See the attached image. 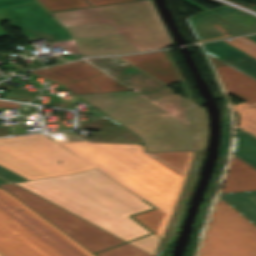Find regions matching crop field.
<instances>
[{
	"instance_id": "8a807250",
	"label": "crop field",
	"mask_w": 256,
	"mask_h": 256,
	"mask_svg": "<svg viewBox=\"0 0 256 256\" xmlns=\"http://www.w3.org/2000/svg\"><path fill=\"white\" fill-rule=\"evenodd\" d=\"M100 149L77 155L156 207L132 215L162 238L186 177L192 151L144 153L143 145L92 143Z\"/></svg>"
},
{
	"instance_id": "ac0d7876",
	"label": "crop field",
	"mask_w": 256,
	"mask_h": 256,
	"mask_svg": "<svg viewBox=\"0 0 256 256\" xmlns=\"http://www.w3.org/2000/svg\"><path fill=\"white\" fill-rule=\"evenodd\" d=\"M51 14L76 37L82 56L173 46L151 0Z\"/></svg>"
},
{
	"instance_id": "34b2d1b8",
	"label": "crop field",
	"mask_w": 256,
	"mask_h": 256,
	"mask_svg": "<svg viewBox=\"0 0 256 256\" xmlns=\"http://www.w3.org/2000/svg\"><path fill=\"white\" fill-rule=\"evenodd\" d=\"M0 254L96 256L2 188H0Z\"/></svg>"
},
{
	"instance_id": "412701ff",
	"label": "crop field",
	"mask_w": 256,
	"mask_h": 256,
	"mask_svg": "<svg viewBox=\"0 0 256 256\" xmlns=\"http://www.w3.org/2000/svg\"><path fill=\"white\" fill-rule=\"evenodd\" d=\"M77 96L139 136L145 152L188 148V126L132 91Z\"/></svg>"
},
{
	"instance_id": "f4fd0767",
	"label": "crop field",
	"mask_w": 256,
	"mask_h": 256,
	"mask_svg": "<svg viewBox=\"0 0 256 256\" xmlns=\"http://www.w3.org/2000/svg\"><path fill=\"white\" fill-rule=\"evenodd\" d=\"M0 187L17 196L93 253L125 242L14 184ZM96 255L152 256L128 243Z\"/></svg>"
},
{
	"instance_id": "dd49c442",
	"label": "crop field",
	"mask_w": 256,
	"mask_h": 256,
	"mask_svg": "<svg viewBox=\"0 0 256 256\" xmlns=\"http://www.w3.org/2000/svg\"><path fill=\"white\" fill-rule=\"evenodd\" d=\"M198 256H256V226L219 198Z\"/></svg>"
},
{
	"instance_id": "e52e79f7",
	"label": "crop field",
	"mask_w": 256,
	"mask_h": 256,
	"mask_svg": "<svg viewBox=\"0 0 256 256\" xmlns=\"http://www.w3.org/2000/svg\"><path fill=\"white\" fill-rule=\"evenodd\" d=\"M14 184L80 218L112 205L73 175Z\"/></svg>"
},
{
	"instance_id": "d8731c3e",
	"label": "crop field",
	"mask_w": 256,
	"mask_h": 256,
	"mask_svg": "<svg viewBox=\"0 0 256 256\" xmlns=\"http://www.w3.org/2000/svg\"><path fill=\"white\" fill-rule=\"evenodd\" d=\"M83 60L186 124L183 107L174 90L126 64L116 56Z\"/></svg>"
},
{
	"instance_id": "5a996713",
	"label": "crop field",
	"mask_w": 256,
	"mask_h": 256,
	"mask_svg": "<svg viewBox=\"0 0 256 256\" xmlns=\"http://www.w3.org/2000/svg\"><path fill=\"white\" fill-rule=\"evenodd\" d=\"M185 1L205 11L188 17L200 42L256 32V17L252 15L226 5L210 10L193 0Z\"/></svg>"
},
{
	"instance_id": "3316defc",
	"label": "crop field",
	"mask_w": 256,
	"mask_h": 256,
	"mask_svg": "<svg viewBox=\"0 0 256 256\" xmlns=\"http://www.w3.org/2000/svg\"><path fill=\"white\" fill-rule=\"evenodd\" d=\"M32 73L62 84L76 94L129 90L83 61L57 65Z\"/></svg>"
},
{
	"instance_id": "28ad6ade",
	"label": "crop field",
	"mask_w": 256,
	"mask_h": 256,
	"mask_svg": "<svg viewBox=\"0 0 256 256\" xmlns=\"http://www.w3.org/2000/svg\"><path fill=\"white\" fill-rule=\"evenodd\" d=\"M4 10L13 20L9 24L30 40L46 38L51 41L72 37L37 2Z\"/></svg>"
},
{
	"instance_id": "d1516ede",
	"label": "crop field",
	"mask_w": 256,
	"mask_h": 256,
	"mask_svg": "<svg viewBox=\"0 0 256 256\" xmlns=\"http://www.w3.org/2000/svg\"><path fill=\"white\" fill-rule=\"evenodd\" d=\"M74 175L128 215L153 208L96 169Z\"/></svg>"
},
{
	"instance_id": "22f410ed",
	"label": "crop field",
	"mask_w": 256,
	"mask_h": 256,
	"mask_svg": "<svg viewBox=\"0 0 256 256\" xmlns=\"http://www.w3.org/2000/svg\"><path fill=\"white\" fill-rule=\"evenodd\" d=\"M0 164L29 180L69 174L2 140Z\"/></svg>"
},
{
	"instance_id": "cbeb9de0",
	"label": "crop field",
	"mask_w": 256,
	"mask_h": 256,
	"mask_svg": "<svg viewBox=\"0 0 256 256\" xmlns=\"http://www.w3.org/2000/svg\"><path fill=\"white\" fill-rule=\"evenodd\" d=\"M82 219L125 241L150 233V231L114 205Z\"/></svg>"
},
{
	"instance_id": "5142ce71",
	"label": "crop field",
	"mask_w": 256,
	"mask_h": 256,
	"mask_svg": "<svg viewBox=\"0 0 256 256\" xmlns=\"http://www.w3.org/2000/svg\"><path fill=\"white\" fill-rule=\"evenodd\" d=\"M16 147L72 174L93 169L73 153L56 144L54 141L17 145Z\"/></svg>"
},
{
	"instance_id": "d9b57169",
	"label": "crop field",
	"mask_w": 256,
	"mask_h": 256,
	"mask_svg": "<svg viewBox=\"0 0 256 256\" xmlns=\"http://www.w3.org/2000/svg\"><path fill=\"white\" fill-rule=\"evenodd\" d=\"M209 58L227 92L251 105L256 103V80L211 56Z\"/></svg>"
},
{
	"instance_id": "733c2abd",
	"label": "crop field",
	"mask_w": 256,
	"mask_h": 256,
	"mask_svg": "<svg viewBox=\"0 0 256 256\" xmlns=\"http://www.w3.org/2000/svg\"><path fill=\"white\" fill-rule=\"evenodd\" d=\"M120 57L168 85L178 81L170 62L162 51Z\"/></svg>"
},
{
	"instance_id": "4a817a6b",
	"label": "crop field",
	"mask_w": 256,
	"mask_h": 256,
	"mask_svg": "<svg viewBox=\"0 0 256 256\" xmlns=\"http://www.w3.org/2000/svg\"><path fill=\"white\" fill-rule=\"evenodd\" d=\"M206 51L256 78V59L222 40L203 44ZM256 108V104L252 105Z\"/></svg>"
},
{
	"instance_id": "bc2a9ffb",
	"label": "crop field",
	"mask_w": 256,
	"mask_h": 256,
	"mask_svg": "<svg viewBox=\"0 0 256 256\" xmlns=\"http://www.w3.org/2000/svg\"><path fill=\"white\" fill-rule=\"evenodd\" d=\"M221 193L256 189V170L232 156Z\"/></svg>"
},
{
	"instance_id": "214f88e0",
	"label": "crop field",
	"mask_w": 256,
	"mask_h": 256,
	"mask_svg": "<svg viewBox=\"0 0 256 256\" xmlns=\"http://www.w3.org/2000/svg\"><path fill=\"white\" fill-rule=\"evenodd\" d=\"M219 196L245 218L256 225V190L225 193L219 194Z\"/></svg>"
},
{
	"instance_id": "92a150f3",
	"label": "crop field",
	"mask_w": 256,
	"mask_h": 256,
	"mask_svg": "<svg viewBox=\"0 0 256 256\" xmlns=\"http://www.w3.org/2000/svg\"><path fill=\"white\" fill-rule=\"evenodd\" d=\"M234 155L256 169V137L237 128Z\"/></svg>"
},
{
	"instance_id": "dafd665d",
	"label": "crop field",
	"mask_w": 256,
	"mask_h": 256,
	"mask_svg": "<svg viewBox=\"0 0 256 256\" xmlns=\"http://www.w3.org/2000/svg\"><path fill=\"white\" fill-rule=\"evenodd\" d=\"M77 129L132 133L110 118L97 116L93 121H78Z\"/></svg>"
},
{
	"instance_id": "00972430",
	"label": "crop field",
	"mask_w": 256,
	"mask_h": 256,
	"mask_svg": "<svg viewBox=\"0 0 256 256\" xmlns=\"http://www.w3.org/2000/svg\"><path fill=\"white\" fill-rule=\"evenodd\" d=\"M204 152L202 151H199L198 154H197V162H196V165H195V168H194V171L190 177V180H189V183L187 185V188H186V191H185V194L183 196V199H182V202H181V205H180V208H179V211L177 213V216H176V219H175V222H174V225L172 227V230L169 234V237L166 241V243L170 246H172V243L174 241V238H175V235H176V232H177V228H178V225H179V221L183 215V212L185 210V207L187 205V202H188V199L190 197V194H191V191H192V188L194 186V183L196 181V177H197V173H198V169H199V165H200V161H201V158L203 156Z\"/></svg>"
},
{
	"instance_id": "a9b5d70f",
	"label": "crop field",
	"mask_w": 256,
	"mask_h": 256,
	"mask_svg": "<svg viewBox=\"0 0 256 256\" xmlns=\"http://www.w3.org/2000/svg\"><path fill=\"white\" fill-rule=\"evenodd\" d=\"M240 115L239 127H242L256 136V109L243 102L233 106Z\"/></svg>"
},
{
	"instance_id": "4177f3b9",
	"label": "crop field",
	"mask_w": 256,
	"mask_h": 256,
	"mask_svg": "<svg viewBox=\"0 0 256 256\" xmlns=\"http://www.w3.org/2000/svg\"><path fill=\"white\" fill-rule=\"evenodd\" d=\"M91 142L142 144L141 139L133 134L108 132H92Z\"/></svg>"
},
{
	"instance_id": "730fd06b",
	"label": "crop field",
	"mask_w": 256,
	"mask_h": 256,
	"mask_svg": "<svg viewBox=\"0 0 256 256\" xmlns=\"http://www.w3.org/2000/svg\"><path fill=\"white\" fill-rule=\"evenodd\" d=\"M198 121V150H205L207 146L208 118L204 107L193 102Z\"/></svg>"
},
{
	"instance_id": "eef30255",
	"label": "crop field",
	"mask_w": 256,
	"mask_h": 256,
	"mask_svg": "<svg viewBox=\"0 0 256 256\" xmlns=\"http://www.w3.org/2000/svg\"><path fill=\"white\" fill-rule=\"evenodd\" d=\"M55 142L60 144L61 146L65 147L69 151L73 152L75 155L81 154V153H84L87 151H91L94 149H98L94 145L90 144L84 138L59 140V141H55Z\"/></svg>"
},
{
	"instance_id": "ae1a2a85",
	"label": "crop field",
	"mask_w": 256,
	"mask_h": 256,
	"mask_svg": "<svg viewBox=\"0 0 256 256\" xmlns=\"http://www.w3.org/2000/svg\"><path fill=\"white\" fill-rule=\"evenodd\" d=\"M49 11L87 7L84 0H39Z\"/></svg>"
},
{
	"instance_id": "d3111659",
	"label": "crop field",
	"mask_w": 256,
	"mask_h": 256,
	"mask_svg": "<svg viewBox=\"0 0 256 256\" xmlns=\"http://www.w3.org/2000/svg\"><path fill=\"white\" fill-rule=\"evenodd\" d=\"M159 241V237L155 236L154 234H151L129 243L152 255H155V251L157 249Z\"/></svg>"
},
{
	"instance_id": "750c4746",
	"label": "crop field",
	"mask_w": 256,
	"mask_h": 256,
	"mask_svg": "<svg viewBox=\"0 0 256 256\" xmlns=\"http://www.w3.org/2000/svg\"><path fill=\"white\" fill-rule=\"evenodd\" d=\"M232 40H234V41L231 42L228 39H226L224 41L256 58V43L255 42H253L245 37L232 38Z\"/></svg>"
},
{
	"instance_id": "bd1437ed",
	"label": "crop field",
	"mask_w": 256,
	"mask_h": 256,
	"mask_svg": "<svg viewBox=\"0 0 256 256\" xmlns=\"http://www.w3.org/2000/svg\"><path fill=\"white\" fill-rule=\"evenodd\" d=\"M0 139L4 140V141H6V142H8L12 145L51 140V139L43 136L42 134L30 135V136H21V137H14V138L1 137Z\"/></svg>"
},
{
	"instance_id": "1d83c4d3",
	"label": "crop field",
	"mask_w": 256,
	"mask_h": 256,
	"mask_svg": "<svg viewBox=\"0 0 256 256\" xmlns=\"http://www.w3.org/2000/svg\"><path fill=\"white\" fill-rule=\"evenodd\" d=\"M0 176L12 181V182H18V181H26L27 179L17 175L16 173L2 167L0 165Z\"/></svg>"
},
{
	"instance_id": "120bbe31",
	"label": "crop field",
	"mask_w": 256,
	"mask_h": 256,
	"mask_svg": "<svg viewBox=\"0 0 256 256\" xmlns=\"http://www.w3.org/2000/svg\"><path fill=\"white\" fill-rule=\"evenodd\" d=\"M35 0H0V8L34 2Z\"/></svg>"
},
{
	"instance_id": "d32e631a",
	"label": "crop field",
	"mask_w": 256,
	"mask_h": 256,
	"mask_svg": "<svg viewBox=\"0 0 256 256\" xmlns=\"http://www.w3.org/2000/svg\"><path fill=\"white\" fill-rule=\"evenodd\" d=\"M223 122V128H222V134H223V139H222V148L227 149V144H228V137H229V126L228 122L222 119Z\"/></svg>"
},
{
	"instance_id": "5866460e",
	"label": "crop field",
	"mask_w": 256,
	"mask_h": 256,
	"mask_svg": "<svg viewBox=\"0 0 256 256\" xmlns=\"http://www.w3.org/2000/svg\"><path fill=\"white\" fill-rule=\"evenodd\" d=\"M93 6L104 5V4H112L126 1H134V0H88Z\"/></svg>"
},
{
	"instance_id": "028f5c9d",
	"label": "crop field",
	"mask_w": 256,
	"mask_h": 256,
	"mask_svg": "<svg viewBox=\"0 0 256 256\" xmlns=\"http://www.w3.org/2000/svg\"><path fill=\"white\" fill-rule=\"evenodd\" d=\"M0 107H4V108H20V104H18V103H10V102H6V101H1L0 100Z\"/></svg>"
},
{
	"instance_id": "e1f06a70",
	"label": "crop field",
	"mask_w": 256,
	"mask_h": 256,
	"mask_svg": "<svg viewBox=\"0 0 256 256\" xmlns=\"http://www.w3.org/2000/svg\"><path fill=\"white\" fill-rule=\"evenodd\" d=\"M1 21H11V20L7 17V15L4 13L3 10H0V22H1Z\"/></svg>"
},
{
	"instance_id": "0bd39190",
	"label": "crop field",
	"mask_w": 256,
	"mask_h": 256,
	"mask_svg": "<svg viewBox=\"0 0 256 256\" xmlns=\"http://www.w3.org/2000/svg\"><path fill=\"white\" fill-rule=\"evenodd\" d=\"M7 34L4 32V30L0 27V38L6 37Z\"/></svg>"
},
{
	"instance_id": "b80d0937",
	"label": "crop field",
	"mask_w": 256,
	"mask_h": 256,
	"mask_svg": "<svg viewBox=\"0 0 256 256\" xmlns=\"http://www.w3.org/2000/svg\"><path fill=\"white\" fill-rule=\"evenodd\" d=\"M247 38L256 42V35L247 36Z\"/></svg>"
},
{
	"instance_id": "c035e120",
	"label": "crop field",
	"mask_w": 256,
	"mask_h": 256,
	"mask_svg": "<svg viewBox=\"0 0 256 256\" xmlns=\"http://www.w3.org/2000/svg\"><path fill=\"white\" fill-rule=\"evenodd\" d=\"M3 183H10V182H8V181H6V180L0 178V184H3Z\"/></svg>"
},
{
	"instance_id": "c21b1889",
	"label": "crop field",
	"mask_w": 256,
	"mask_h": 256,
	"mask_svg": "<svg viewBox=\"0 0 256 256\" xmlns=\"http://www.w3.org/2000/svg\"><path fill=\"white\" fill-rule=\"evenodd\" d=\"M252 8L256 9V6H254V7H252Z\"/></svg>"
},
{
	"instance_id": "03da06ac",
	"label": "crop field",
	"mask_w": 256,
	"mask_h": 256,
	"mask_svg": "<svg viewBox=\"0 0 256 256\" xmlns=\"http://www.w3.org/2000/svg\"><path fill=\"white\" fill-rule=\"evenodd\" d=\"M0 256H2V255H0Z\"/></svg>"
}]
</instances>
